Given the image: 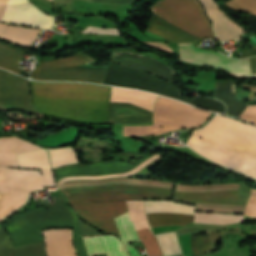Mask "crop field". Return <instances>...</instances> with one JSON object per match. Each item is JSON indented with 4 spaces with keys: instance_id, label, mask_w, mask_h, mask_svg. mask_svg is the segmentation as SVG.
<instances>
[{
    "instance_id": "f4fd0767",
    "label": "crop field",
    "mask_w": 256,
    "mask_h": 256,
    "mask_svg": "<svg viewBox=\"0 0 256 256\" xmlns=\"http://www.w3.org/2000/svg\"><path fill=\"white\" fill-rule=\"evenodd\" d=\"M52 185H55L52 170L0 167V219L21 207L32 191Z\"/></svg>"
},
{
    "instance_id": "1d83c4d3",
    "label": "crop field",
    "mask_w": 256,
    "mask_h": 256,
    "mask_svg": "<svg viewBox=\"0 0 256 256\" xmlns=\"http://www.w3.org/2000/svg\"><path fill=\"white\" fill-rule=\"evenodd\" d=\"M244 213L256 219V190H252V194L246 204Z\"/></svg>"
},
{
    "instance_id": "d8731c3e",
    "label": "crop field",
    "mask_w": 256,
    "mask_h": 256,
    "mask_svg": "<svg viewBox=\"0 0 256 256\" xmlns=\"http://www.w3.org/2000/svg\"><path fill=\"white\" fill-rule=\"evenodd\" d=\"M150 11L198 37L215 36L197 0H163Z\"/></svg>"
},
{
    "instance_id": "00972430",
    "label": "crop field",
    "mask_w": 256,
    "mask_h": 256,
    "mask_svg": "<svg viewBox=\"0 0 256 256\" xmlns=\"http://www.w3.org/2000/svg\"><path fill=\"white\" fill-rule=\"evenodd\" d=\"M41 31L0 23V36L27 47ZM0 37V38H1ZM2 38V39H3Z\"/></svg>"
},
{
    "instance_id": "a9b5d70f",
    "label": "crop field",
    "mask_w": 256,
    "mask_h": 256,
    "mask_svg": "<svg viewBox=\"0 0 256 256\" xmlns=\"http://www.w3.org/2000/svg\"><path fill=\"white\" fill-rule=\"evenodd\" d=\"M19 168L51 169L47 151L40 150L17 155Z\"/></svg>"
},
{
    "instance_id": "c21b1889",
    "label": "crop field",
    "mask_w": 256,
    "mask_h": 256,
    "mask_svg": "<svg viewBox=\"0 0 256 256\" xmlns=\"http://www.w3.org/2000/svg\"><path fill=\"white\" fill-rule=\"evenodd\" d=\"M104 256H106V255H104Z\"/></svg>"
},
{
    "instance_id": "733c2abd",
    "label": "crop field",
    "mask_w": 256,
    "mask_h": 256,
    "mask_svg": "<svg viewBox=\"0 0 256 256\" xmlns=\"http://www.w3.org/2000/svg\"><path fill=\"white\" fill-rule=\"evenodd\" d=\"M71 232L72 229H47L43 231L47 256H76Z\"/></svg>"
},
{
    "instance_id": "0bd39190",
    "label": "crop field",
    "mask_w": 256,
    "mask_h": 256,
    "mask_svg": "<svg viewBox=\"0 0 256 256\" xmlns=\"http://www.w3.org/2000/svg\"><path fill=\"white\" fill-rule=\"evenodd\" d=\"M7 2H8V0H0V20L2 18L4 10L6 8Z\"/></svg>"
},
{
    "instance_id": "eef30255",
    "label": "crop field",
    "mask_w": 256,
    "mask_h": 256,
    "mask_svg": "<svg viewBox=\"0 0 256 256\" xmlns=\"http://www.w3.org/2000/svg\"><path fill=\"white\" fill-rule=\"evenodd\" d=\"M243 221V215H223L219 213H198L195 212L194 222L209 224H232Z\"/></svg>"
},
{
    "instance_id": "8a807250",
    "label": "crop field",
    "mask_w": 256,
    "mask_h": 256,
    "mask_svg": "<svg viewBox=\"0 0 256 256\" xmlns=\"http://www.w3.org/2000/svg\"><path fill=\"white\" fill-rule=\"evenodd\" d=\"M109 185L153 186L173 189L174 183L139 178H113L64 182L59 189ZM136 186H109L65 190L72 208L98 228L119 234L114 217L127 211L125 200L172 199L173 190Z\"/></svg>"
},
{
    "instance_id": "750c4746",
    "label": "crop field",
    "mask_w": 256,
    "mask_h": 256,
    "mask_svg": "<svg viewBox=\"0 0 256 256\" xmlns=\"http://www.w3.org/2000/svg\"><path fill=\"white\" fill-rule=\"evenodd\" d=\"M164 256L182 253L176 236V232L155 234Z\"/></svg>"
},
{
    "instance_id": "d1516ede",
    "label": "crop field",
    "mask_w": 256,
    "mask_h": 256,
    "mask_svg": "<svg viewBox=\"0 0 256 256\" xmlns=\"http://www.w3.org/2000/svg\"><path fill=\"white\" fill-rule=\"evenodd\" d=\"M0 106L36 112L31 108L28 80L0 70Z\"/></svg>"
},
{
    "instance_id": "5866460e",
    "label": "crop field",
    "mask_w": 256,
    "mask_h": 256,
    "mask_svg": "<svg viewBox=\"0 0 256 256\" xmlns=\"http://www.w3.org/2000/svg\"><path fill=\"white\" fill-rule=\"evenodd\" d=\"M78 221H79V229H80L81 236L100 234L96 229H94L91 226L85 224L81 220L78 219Z\"/></svg>"
},
{
    "instance_id": "cbeb9de0",
    "label": "crop field",
    "mask_w": 256,
    "mask_h": 256,
    "mask_svg": "<svg viewBox=\"0 0 256 256\" xmlns=\"http://www.w3.org/2000/svg\"><path fill=\"white\" fill-rule=\"evenodd\" d=\"M41 12L29 0H9L2 21L41 28L54 25L55 17Z\"/></svg>"
},
{
    "instance_id": "dafd665d",
    "label": "crop field",
    "mask_w": 256,
    "mask_h": 256,
    "mask_svg": "<svg viewBox=\"0 0 256 256\" xmlns=\"http://www.w3.org/2000/svg\"><path fill=\"white\" fill-rule=\"evenodd\" d=\"M156 98L152 93L112 87L111 101L130 102L152 111Z\"/></svg>"
},
{
    "instance_id": "e1f06a70",
    "label": "crop field",
    "mask_w": 256,
    "mask_h": 256,
    "mask_svg": "<svg viewBox=\"0 0 256 256\" xmlns=\"http://www.w3.org/2000/svg\"><path fill=\"white\" fill-rule=\"evenodd\" d=\"M255 49L249 50V51H243L241 58H246L252 55H256V46H254Z\"/></svg>"
},
{
    "instance_id": "bd1437ed",
    "label": "crop field",
    "mask_w": 256,
    "mask_h": 256,
    "mask_svg": "<svg viewBox=\"0 0 256 256\" xmlns=\"http://www.w3.org/2000/svg\"><path fill=\"white\" fill-rule=\"evenodd\" d=\"M207 235H191V251L195 250V256H205V252L211 251L209 231Z\"/></svg>"
},
{
    "instance_id": "4a817a6b",
    "label": "crop field",
    "mask_w": 256,
    "mask_h": 256,
    "mask_svg": "<svg viewBox=\"0 0 256 256\" xmlns=\"http://www.w3.org/2000/svg\"><path fill=\"white\" fill-rule=\"evenodd\" d=\"M117 238V237H116ZM111 235L84 237L88 255L128 256L123 244Z\"/></svg>"
},
{
    "instance_id": "412701ff",
    "label": "crop field",
    "mask_w": 256,
    "mask_h": 256,
    "mask_svg": "<svg viewBox=\"0 0 256 256\" xmlns=\"http://www.w3.org/2000/svg\"><path fill=\"white\" fill-rule=\"evenodd\" d=\"M54 199L55 205L46 208L41 207L16 216L6 226L13 245L18 246L26 243L43 242L41 231L47 227L62 226L73 227V239L78 256H88L83 238L80 237L77 215L67 205L64 195Z\"/></svg>"
},
{
    "instance_id": "d3111659",
    "label": "crop field",
    "mask_w": 256,
    "mask_h": 256,
    "mask_svg": "<svg viewBox=\"0 0 256 256\" xmlns=\"http://www.w3.org/2000/svg\"><path fill=\"white\" fill-rule=\"evenodd\" d=\"M112 107H127L136 111H139L143 114L149 115V117H114ZM111 115L114 123H145L152 122V112L146 109H143L139 106L130 104V103H119L111 102L110 105Z\"/></svg>"
},
{
    "instance_id": "28ad6ade",
    "label": "crop field",
    "mask_w": 256,
    "mask_h": 256,
    "mask_svg": "<svg viewBox=\"0 0 256 256\" xmlns=\"http://www.w3.org/2000/svg\"><path fill=\"white\" fill-rule=\"evenodd\" d=\"M181 59L199 65H208L218 69L227 70L231 76L236 77H254L251 74L248 59L238 61L233 60L219 52L196 48L192 43L180 44Z\"/></svg>"
},
{
    "instance_id": "3316defc",
    "label": "crop field",
    "mask_w": 256,
    "mask_h": 256,
    "mask_svg": "<svg viewBox=\"0 0 256 256\" xmlns=\"http://www.w3.org/2000/svg\"><path fill=\"white\" fill-rule=\"evenodd\" d=\"M151 156V155H150ZM157 154L151 156L150 158L146 159L143 158L133 164L122 162L119 160H107L99 163H94L90 165H84V164H77L72 165L68 167L58 168L55 170V177L56 181L59 179H62L66 176H74V175H107V174H113V173H121V172H127L131 169L133 170L122 173V174H113V175H107V176H74V177H66L60 181L57 182L58 187L63 181L71 180V179H98V178H107V177H120V176H126L133 174L138 171L139 168L156 158ZM149 157V156H148Z\"/></svg>"
},
{
    "instance_id": "ac0d7876",
    "label": "crop field",
    "mask_w": 256,
    "mask_h": 256,
    "mask_svg": "<svg viewBox=\"0 0 256 256\" xmlns=\"http://www.w3.org/2000/svg\"><path fill=\"white\" fill-rule=\"evenodd\" d=\"M210 160L256 178V128L217 115L186 143Z\"/></svg>"
},
{
    "instance_id": "028f5c9d",
    "label": "crop field",
    "mask_w": 256,
    "mask_h": 256,
    "mask_svg": "<svg viewBox=\"0 0 256 256\" xmlns=\"http://www.w3.org/2000/svg\"><path fill=\"white\" fill-rule=\"evenodd\" d=\"M142 43L154 46L158 49L173 52V50L167 44H162L161 42H142Z\"/></svg>"
},
{
    "instance_id": "5142ce71",
    "label": "crop field",
    "mask_w": 256,
    "mask_h": 256,
    "mask_svg": "<svg viewBox=\"0 0 256 256\" xmlns=\"http://www.w3.org/2000/svg\"><path fill=\"white\" fill-rule=\"evenodd\" d=\"M205 7L206 13L213 22V30L222 40L234 39L238 42L246 29L226 16L213 0H199Z\"/></svg>"
},
{
    "instance_id": "c035e120",
    "label": "crop field",
    "mask_w": 256,
    "mask_h": 256,
    "mask_svg": "<svg viewBox=\"0 0 256 256\" xmlns=\"http://www.w3.org/2000/svg\"><path fill=\"white\" fill-rule=\"evenodd\" d=\"M252 73H256V57L250 58Z\"/></svg>"
},
{
    "instance_id": "ae1a2a85",
    "label": "crop field",
    "mask_w": 256,
    "mask_h": 256,
    "mask_svg": "<svg viewBox=\"0 0 256 256\" xmlns=\"http://www.w3.org/2000/svg\"><path fill=\"white\" fill-rule=\"evenodd\" d=\"M48 151L50 153L52 168L79 162L76 156L75 149L71 147L48 149Z\"/></svg>"
},
{
    "instance_id": "dd49c442",
    "label": "crop field",
    "mask_w": 256,
    "mask_h": 256,
    "mask_svg": "<svg viewBox=\"0 0 256 256\" xmlns=\"http://www.w3.org/2000/svg\"><path fill=\"white\" fill-rule=\"evenodd\" d=\"M210 112L197 109L173 99L159 96L153 114V125L126 126V135H152L178 128L197 127Z\"/></svg>"
},
{
    "instance_id": "34b2d1b8",
    "label": "crop field",
    "mask_w": 256,
    "mask_h": 256,
    "mask_svg": "<svg viewBox=\"0 0 256 256\" xmlns=\"http://www.w3.org/2000/svg\"><path fill=\"white\" fill-rule=\"evenodd\" d=\"M31 84L32 105L42 113L80 123L113 122L109 110L111 87L33 81Z\"/></svg>"
},
{
    "instance_id": "214f88e0",
    "label": "crop field",
    "mask_w": 256,
    "mask_h": 256,
    "mask_svg": "<svg viewBox=\"0 0 256 256\" xmlns=\"http://www.w3.org/2000/svg\"><path fill=\"white\" fill-rule=\"evenodd\" d=\"M0 256H45L44 244L35 243L13 248L10 236L0 226Z\"/></svg>"
},
{
    "instance_id": "22f410ed",
    "label": "crop field",
    "mask_w": 256,
    "mask_h": 256,
    "mask_svg": "<svg viewBox=\"0 0 256 256\" xmlns=\"http://www.w3.org/2000/svg\"><path fill=\"white\" fill-rule=\"evenodd\" d=\"M148 212H179L194 215L193 205L172 201H145ZM179 213H149L147 214L151 227L162 225H185L193 221L192 215Z\"/></svg>"
},
{
    "instance_id": "730fd06b",
    "label": "crop field",
    "mask_w": 256,
    "mask_h": 256,
    "mask_svg": "<svg viewBox=\"0 0 256 256\" xmlns=\"http://www.w3.org/2000/svg\"><path fill=\"white\" fill-rule=\"evenodd\" d=\"M24 52L0 42V67L20 73L18 61Z\"/></svg>"
},
{
    "instance_id": "e52e79f7",
    "label": "crop field",
    "mask_w": 256,
    "mask_h": 256,
    "mask_svg": "<svg viewBox=\"0 0 256 256\" xmlns=\"http://www.w3.org/2000/svg\"><path fill=\"white\" fill-rule=\"evenodd\" d=\"M240 184H224V185H210V186H193V185H181L177 184L175 191L182 192H211V191H223L240 189ZM237 191H224V192H212V193H181L175 192L174 197L223 205H241L245 206L247 198L237 196ZM177 201L188 202L196 204V210L199 211H212V212H233L243 214L244 207L241 206H222L207 203L189 202L179 199Z\"/></svg>"
},
{
    "instance_id": "b80d0937",
    "label": "crop field",
    "mask_w": 256,
    "mask_h": 256,
    "mask_svg": "<svg viewBox=\"0 0 256 256\" xmlns=\"http://www.w3.org/2000/svg\"><path fill=\"white\" fill-rule=\"evenodd\" d=\"M200 232V229L177 231L178 235Z\"/></svg>"
},
{
    "instance_id": "bc2a9ffb",
    "label": "crop field",
    "mask_w": 256,
    "mask_h": 256,
    "mask_svg": "<svg viewBox=\"0 0 256 256\" xmlns=\"http://www.w3.org/2000/svg\"><path fill=\"white\" fill-rule=\"evenodd\" d=\"M38 148L17 137L0 138V166L17 167L16 154Z\"/></svg>"
},
{
    "instance_id": "d32e631a",
    "label": "crop field",
    "mask_w": 256,
    "mask_h": 256,
    "mask_svg": "<svg viewBox=\"0 0 256 256\" xmlns=\"http://www.w3.org/2000/svg\"><path fill=\"white\" fill-rule=\"evenodd\" d=\"M82 32L86 33H102V34H115L118 35V29H112V28H106V29H101V28H96V27H87L84 29Z\"/></svg>"
},
{
    "instance_id": "5a996713",
    "label": "crop field",
    "mask_w": 256,
    "mask_h": 256,
    "mask_svg": "<svg viewBox=\"0 0 256 256\" xmlns=\"http://www.w3.org/2000/svg\"><path fill=\"white\" fill-rule=\"evenodd\" d=\"M88 63L92 62L81 53L71 57L44 61L37 67L33 79L101 83L106 69L74 67Z\"/></svg>"
},
{
    "instance_id": "4177f3b9",
    "label": "crop field",
    "mask_w": 256,
    "mask_h": 256,
    "mask_svg": "<svg viewBox=\"0 0 256 256\" xmlns=\"http://www.w3.org/2000/svg\"><path fill=\"white\" fill-rule=\"evenodd\" d=\"M115 219L121 234L122 241L128 251H130L132 256H140L134 247L128 245L127 243L129 240H140L135 231L133 222L130 221L128 211L115 217Z\"/></svg>"
},
{
    "instance_id": "92a150f3",
    "label": "crop field",
    "mask_w": 256,
    "mask_h": 256,
    "mask_svg": "<svg viewBox=\"0 0 256 256\" xmlns=\"http://www.w3.org/2000/svg\"><path fill=\"white\" fill-rule=\"evenodd\" d=\"M147 31L156 33L174 42L200 41V39L173 26L169 22L156 15H153Z\"/></svg>"
},
{
    "instance_id": "120bbe31",
    "label": "crop field",
    "mask_w": 256,
    "mask_h": 256,
    "mask_svg": "<svg viewBox=\"0 0 256 256\" xmlns=\"http://www.w3.org/2000/svg\"><path fill=\"white\" fill-rule=\"evenodd\" d=\"M240 119L247 120L256 125V105L249 106Z\"/></svg>"
},
{
    "instance_id": "d9b57169",
    "label": "crop field",
    "mask_w": 256,
    "mask_h": 256,
    "mask_svg": "<svg viewBox=\"0 0 256 256\" xmlns=\"http://www.w3.org/2000/svg\"><path fill=\"white\" fill-rule=\"evenodd\" d=\"M135 228L149 226L146 219L143 201H126ZM142 243L145 245L148 256H162L160 247L150 227L137 230Z\"/></svg>"
}]
</instances>
